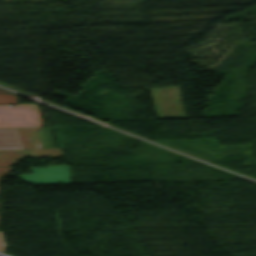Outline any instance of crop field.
I'll use <instances>...</instances> for the list:
<instances>
[{
    "mask_svg": "<svg viewBox=\"0 0 256 256\" xmlns=\"http://www.w3.org/2000/svg\"><path fill=\"white\" fill-rule=\"evenodd\" d=\"M10 170H12L10 167H0V180L1 178L7 174Z\"/></svg>",
    "mask_w": 256,
    "mask_h": 256,
    "instance_id": "obj_7",
    "label": "crop field"
},
{
    "mask_svg": "<svg viewBox=\"0 0 256 256\" xmlns=\"http://www.w3.org/2000/svg\"><path fill=\"white\" fill-rule=\"evenodd\" d=\"M33 174L19 175L30 183L70 182L68 165L30 168Z\"/></svg>",
    "mask_w": 256,
    "mask_h": 256,
    "instance_id": "obj_4",
    "label": "crop field"
},
{
    "mask_svg": "<svg viewBox=\"0 0 256 256\" xmlns=\"http://www.w3.org/2000/svg\"><path fill=\"white\" fill-rule=\"evenodd\" d=\"M43 123L36 104L0 105V129L42 127Z\"/></svg>",
    "mask_w": 256,
    "mask_h": 256,
    "instance_id": "obj_3",
    "label": "crop field"
},
{
    "mask_svg": "<svg viewBox=\"0 0 256 256\" xmlns=\"http://www.w3.org/2000/svg\"><path fill=\"white\" fill-rule=\"evenodd\" d=\"M157 119L187 118L179 87L150 88Z\"/></svg>",
    "mask_w": 256,
    "mask_h": 256,
    "instance_id": "obj_2",
    "label": "crop field"
},
{
    "mask_svg": "<svg viewBox=\"0 0 256 256\" xmlns=\"http://www.w3.org/2000/svg\"><path fill=\"white\" fill-rule=\"evenodd\" d=\"M1 236H2V233H0V252H2V250H3V245H2V241H1Z\"/></svg>",
    "mask_w": 256,
    "mask_h": 256,
    "instance_id": "obj_8",
    "label": "crop field"
},
{
    "mask_svg": "<svg viewBox=\"0 0 256 256\" xmlns=\"http://www.w3.org/2000/svg\"><path fill=\"white\" fill-rule=\"evenodd\" d=\"M0 93H7V92L0 90Z\"/></svg>",
    "mask_w": 256,
    "mask_h": 256,
    "instance_id": "obj_9",
    "label": "crop field"
},
{
    "mask_svg": "<svg viewBox=\"0 0 256 256\" xmlns=\"http://www.w3.org/2000/svg\"><path fill=\"white\" fill-rule=\"evenodd\" d=\"M24 150H0V166H11L22 157L62 156L48 128L18 129Z\"/></svg>",
    "mask_w": 256,
    "mask_h": 256,
    "instance_id": "obj_1",
    "label": "crop field"
},
{
    "mask_svg": "<svg viewBox=\"0 0 256 256\" xmlns=\"http://www.w3.org/2000/svg\"><path fill=\"white\" fill-rule=\"evenodd\" d=\"M0 149H23L17 129L0 130Z\"/></svg>",
    "mask_w": 256,
    "mask_h": 256,
    "instance_id": "obj_5",
    "label": "crop field"
},
{
    "mask_svg": "<svg viewBox=\"0 0 256 256\" xmlns=\"http://www.w3.org/2000/svg\"><path fill=\"white\" fill-rule=\"evenodd\" d=\"M0 103H18L13 94H0Z\"/></svg>",
    "mask_w": 256,
    "mask_h": 256,
    "instance_id": "obj_6",
    "label": "crop field"
}]
</instances>
